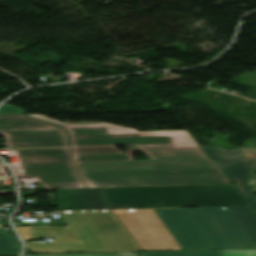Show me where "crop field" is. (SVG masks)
<instances>
[{"label":"crop field","mask_w":256,"mask_h":256,"mask_svg":"<svg viewBox=\"0 0 256 256\" xmlns=\"http://www.w3.org/2000/svg\"><path fill=\"white\" fill-rule=\"evenodd\" d=\"M114 212L142 250L179 249L165 226L185 249L256 247L230 211L222 207Z\"/></svg>","instance_id":"crop-field-1"},{"label":"crop field","mask_w":256,"mask_h":256,"mask_svg":"<svg viewBox=\"0 0 256 256\" xmlns=\"http://www.w3.org/2000/svg\"><path fill=\"white\" fill-rule=\"evenodd\" d=\"M73 160L88 187L230 183L211 159L132 161L129 154H104Z\"/></svg>","instance_id":"crop-field-2"},{"label":"crop field","mask_w":256,"mask_h":256,"mask_svg":"<svg viewBox=\"0 0 256 256\" xmlns=\"http://www.w3.org/2000/svg\"><path fill=\"white\" fill-rule=\"evenodd\" d=\"M69 132L71 146L132 145L151 160L209 158L187 131L138 132L108 123L66 125L42 115H27Z\"/></svg>","instance_id":"crop-field-3"},{"label":"crop field","mask_w":256,"mask_h":256,"mask_svg":"<svg viewBox=\"0 0 256 256\" xmlns=\"http://www.w3.org/2000/svg\"><path fill=\"white\" fill-rule=\"evenodd\" d=\"M102 189L112 208L248 205L232 184Z\"/></svg>","instance_id":"crop-field-4"},{"label":"crop field","mask_w":256,"mask_h":256,"mask_svg":"<svg viewBox=\"0 0 256 256\" xmlns=\"http://www.w3.org/2000/svg\"><path fill=\"white\" fill-rule=\"evenodd\" d=\"M63 219L81 242L26 244L31 253L139 250L110 211H77Z\"/></svg>","instance_id":"crop-field-5"},{"label":"crop field","mask_w":256,"mask_h":256,"mask_svg":"<svg viewBox=\"0 0 256 256\" xmlns=\"http://www.w3.org/2000/svg\"><path fill=\"white\" fill-rule=\"evenodd\" d=\"M31 150H17L21 165L14 168L17 176H36L45 188H85L72 164L69 148Z\"/></svg>","instance_id":"crop-field-6"},{"label":"crop field","mask_w":256,"mask_h":256,"mask_svg":"<svg viewBox=\"0 0 256 256\" xmlns=\"http://www.w3.org/2000/svg\"><path fill=\"white\" fill-rule=\"evenodd\" d=\"M0 135L8 148L68 146L64 130L23 116H0Z\"/></svg>","instance_id":"crop-field-7"},{"label":"crop field","mask_w":256,"mask_h":256,"mask_svg":"<svg viewBox=\"0 0 256 256\" xmlns=\"http://www.w3.org/2000/svg\"><path fill=\"white\" fill-rule=\"evenodd\" d=\"M231 182L243 183L256 167V149L222 150L200 146Z\"/></svg>","instance_id":"crop-field-8"},{"label":"crop field","mask_w":256,"mask_h":256,"mask_svg":"<svg viewBox=\"0 0 256 256\" xmlns=\"http://www.w3.org/2000/svg\"><path fill=\"white\" fill-rule=\"evenodd\" d=\"M59 210L109 209L99 189H58Z\"/></svg>","instance_id":"crop-field-9"},{"label":"crop field","mask_w":256,"mask_h":256,"mask_svg":"<svg viewBox=\"0 0 256 256\" xmlns=\"http://www.w3.org/2000/svg\"><path fill=\"white\" fill-rule=\"evenodd\" d=\"M234 217L256 243V213L251 207H228Z\"/></svg>","instance_id":"crop-field-10"},{"label":"crop field","mask_w":256,"mask_h":256,"mask_svg":"<svg viewBox=\"0 0 256 256\" xmlns=\"http://www.w3.org/2000/svg\"><path fill=\"white\" fill-rule=\"evenodd\" d=\"M140 256H221V250L141 252Z\"/></svg>","instance_id":"crop-field-11"},{"label":"crop field","mask_w":256,"mask_h":256,"mask_svg":"<svg viewBox=\"0 0 256 256\" xmlns=\"http://www.w3.org/2000/svg\"><path fill=\"white\" fill-rule=\"evenodd\" d=\"M20 250L11 234L0 230V253H19Z\"/></svg>","instance_id":"crop-field-12"},{"label":"crop field","mask_w":256,"mask_h":256,"mask_svg":"<svg viewBox=\"0 0 256 256\" xmlns=\"http://www.w3.org/2000/svg\"><path fill=\"white\" fill-rule=\"evenodd\" d=\"M73 154L123 153L114 147L71 148Z\"/></svg>","instance_id":"crop-field-13"},{"label":"crop field","mask_w":256,"mask_h":256,"mask_svg":"<svg viewBox=\"0 0 256 256\" xmlns=\"http://www.w3.org/2000/svg\"><path fill=\"white\" fill-rule=\"evenodd\" d=\"M23 256H137V253L119 252V253H84V254H43V255H23Z\"/></svg>","instance_id":"crop-field-14"},{"label":"crop field","mask_w":256,"mask_h":256,"mask_svg":"<svg viewBox=\"0 0 256 256\" xmlns=\"http://www.w3.org/2000/svg\"><path fill=\"white\" fill-rule=\"evenodd\" d=\"M234 185L245 196V198L250 202V204L256 209V199L252 195L254 192H256V188L246 187L243 185H236V184Z\"/></svg>","instance_id":"crop-field-15"},{"label":"crop field","mask_w":256,"mask_h":256,"mask_svg":"<svg viewBox=\"0 0 256 256\" xmlns=\"http://www.w3.org/2000/svg\"><path fill=\"white\" fill-rule=\"evenodd\" d=\"M222 256H256V249L222 250Z\"/></svg>","instance_id":"crop-field-16"},{"label":"crop field","mask_w":256,"mask_h":256,"mask_svg":"<svg viewBox=\"0 0 256 256\" xmlns=\"http://www.w3.org/2000/svg\"><path fill=\"white\" fill-rule=\"evenodd\" d=\"M28 111L12 107L9 105L4 104L2 107H0V114H23L25 115Z\"/></svg>","instance_id":"crop-field-17"},{"label":"crop field","mask_w":256,"mask_h":256,"mask_svg":"<svg viewBox=\"0 0 256 256\" xmlns=\"http://www.w3.org/2000/svg\"><path fill=\"white\" fill-rule=\"evenodd\" d=\"M246 184L256 186V171L253 173V175L250 177Z\"/></svg>","instance_id":"crop-field-18"},{"label":"crop field","mask_w":256,"mask_h":256,"mask_svg":"<svg viewBox=\"0 0 256 256\" xmlns=\"http://www.w3.org/2000/svg\"><path fill=\"white\" fill-rule=\"evenodd\" d=\"M250 141L256 145V138L255 139H251Z\"/></svg>","instance_id":"crop-field-19"},{"label":"crop field","mask_w":256,"mask_h":256,"mask_svg":"<svg viewBox=\"0 0 256 256\" xmlns=\"http://www.w3.org/2000/svg\"><path fill=\"white\" fill-rule=\"evenodd\" d=\"M69 213H70V212H63V213H61V214H62V216H63V215H65V214H69Z\"/></svg>","instance_id":"crop-field-20"},{"label":"crop field","mask_w":256,"mask_h":256,"mask_svg":"<svg viewBox=\"0 0 256 256\" xmlns=\"http://www.w3.org/2000/svg\"><path fill=\"white\" fill-rule=\"evenodd\" d=\"M0 229H2V230H3V229H4V227L0 225Z\"/></svg>","instance_id":"crop-field-21"},{"label":"crop field","mask_w":256,"mask_h":256,"mask_svg":"<svg viewBox=\"0 0 256 256\" xmlns=\"http://www.w3.org/2000/svg\"><path fill=\"white\" fill-rule=\"evenodd\" d=\"M0 163H2L1 160H0Z\"/></svg>","instance_id":"crop-field-22"}]
</instances>
